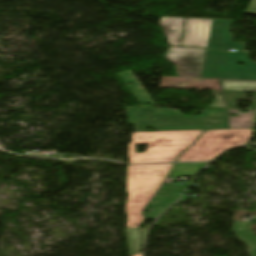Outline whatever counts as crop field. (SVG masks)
<instances>
[{
    "label": "crop field",
    "instance_id": "crop-field-6",
    "mask_svg": "<svg viewBox=\"0 0 256 256\" xmlns=\"http://www.w3.org/2000/svg\"><path fill=\"white\" fill-rule=\"evenodd\" d=\"M168 48L166 59L175 65L178 77L200 78L206 49Z\"/></svg>",
    "mask_w": 256,
    "mask_h": 256
},
{
    "label": "crop field",
    "instance_id": "crop-field-22",
    "mask_svg": "<svg viewBox=\"0 0 256 256\" xmlns=\"http://www.w3.org/2000/svg\"><path fill=\"white\" fill-rule=\"evenodd\" d=\"M138 253H139V252H138ZM134 256H142V252L139 253V254H136V255H134Z\"/></svg>",
    "mask_w": 256,
    "mask_h": 256
},
{
    "label": "crop field",
    "instance_id": "crop-field-9",
    "mask_svg": "<svg viewBox=\"0 0 256 256\" xmlns=\"http://www.w3.org/2000/svg\"><path fill=\"white\" fill-rule=\"evenodd\" d=\"M184 189V187L162 184L151 203L145 209L150 214L149 216L145 214L147 219L155 220L156 217H158L174 202V200L180 195L179 193ZM161 190L165 193H161ZM149 207L153 209L152 212L149 211Z\"/></svg>",
    "mask_w": 256,
    "mask_h": 256
},
{
    "label": "crop field",
    "instance_id": "crop-field-14",
    "mask_svg": "<svg viewBox=\"0 0 256 256\" xmlns=\"http://www.w3.org/2000/svg\"><path fill=\"white\" fill-rule=\"evenodd\" d=\"M223 90L256 91V81L220 80Z\"/></svg>",
    "mask_w": 256,
    "mask_h": 256
},
{
    "label": "crop field",
    "instance_id": "crop-field-20",
    "mask_svg": "<svg viewBox=\"0 0 256 256\" xmlns=\"http://www.w3.org/2000/svg\"><path fill=\"white\" fill-rule=\"evenodd\" d=\"M147 230H148V229L141 230L143 244H144V240H145V236H146Z\"/></svg>",
    "mask_w": 256,
    "mask_h": 256
},
{
    "label": "crop field",
    "instance_id": "crop-field-4",
    "mask_svg": "<svg viewBox=\"0 0 256 256\" xmlns=\"http://www.w3.org/2000/svg\"><path fill=\"white\" fill-rule=\"evenodd\" d=\"M252 129L206 130L177 162L210 161L224 150L246 143Z\"/></svg>",
    "mask_w": 256,
    "mask_h": 256
},
{
    "label": "crop field",
    "instance_id": "crop-field-18",
    "mask_svg": "<svg viewBox=\"0 0 256 256\" xmlns=\"http://www.w3.org/2000/svg\"><path fill=\"white\" fill-rule=\"evenodd\" d=\"M218 92H220V91H218ZM213 94L216 98V101L214 103L210 104V108H225V103H224L221 92H220L221 96H218L217 91H213Z\"/></svg>",
    "mask_w": 256,
    "mask_h": 256
},
{
    "label": "crop field",
    "instance_id": "crop-field-15",
    "mask_svg": "<svg viewBox=\"0 0 256 256\" xmlns=\"http://www.w3.org/2000/svg\"><path fill=\"white\" fill-rule=\"evenodd\" d=\"M206 163L175 164L169 176H193Z\"/></svg>",
    "mask_w": 256,
    "mask_h": 256
},
{
    "label": "crop field",
    "instance_id": "crop-field-5",
    "mask_svg": "<svg viewBox=\"0 0 256 256\" xmlns=\"http://www.w3.org/2000/svg\"><path fill=\"white\" fill-rule=\"evenodd\" d=\"M249 54L207 50L201 78L256 80V63L248 59ZM239 62L246 63V66H237Z\"/></svg>",
    "mask_w": 256,
    "mask_h": 256
},
{
    "label": "crop field",
    "instance_id": "crop-field-3",
    "mask_svg": "<svg viewBox=\"0 0 256 256\" xmlns=\"http://www.w3.org/2000/svg\"><path fill=\"white\" fill-rule=\"evenodd\" d=\"M173 164L133 165L127 172L128 220L126 228H137L144 221L142 209L160 186Z\"/></svg>",
    "mask_w": 256,
    "mask_h": 256
},
{
    "label": "crop field",
    "instance_id": "crop-field-12",
    "mask_svg": "<svg viewBox=\"0 0 256 256\" xmlns=\"http://www.w3.org/2000/svg\"><path fill=\"white\" fill-rule=\"evenodd\" d=\"M245 225V222H234L232 231L243 243L248 245L250 256H256V237L250 227H245Z\"/></svg>",
    "mask_w": 256,
    "mask_h": 256
},
{
    "label": "crop field",
    "instance_id": "crop-field-21",
    "mask_svg": "<svg viewBox=\"0 0 256 256\" xmlns=\"http://www.w3.org/2000/svg\"><path fill=\"white\" fill-rule=\"evenodd\" d=\"M250 108H256V96Z\"/></svg>",
    "mask_w": 256,
    "mask_h": 256
},
{
    "label": "crop field",
    "instance_id": "crop-field-2",
    "mask_svg": "<svg viewBox=\"0 0 256 256\" xmlns=\"http://www.w3.org/2000/svg\"><path fill=\"white\" fill-rule=\"evenodd\" d=\"M203 131L134 132L129 143L128 164L175 162ZM141 144H148L146 152L134 154V145Z\"/></svg>",
    "mask_w": 256,
    "mask_h": 256
},
{
    "label": "crop field",
    "instance_id": "crop-field-1",
    "mask_svg": "<svg viewBox=\"0 0 256 256\" xmlns=\"http://www.w3.org/2000/svg\"><path fill=\"white\" fill-rule=\"evenodd\" d=\"M129 123L136 131L148 126L158 131L226 128L225 110H208L199 116H185L172 109L126 108ZM223 113V115L221 114ZM225 117L209 120L208 118Z\"/></svg>",
    "mask_w": 256,
    "mask_h": 256
},
{
    "label": "crop field",
    "instance_id": "crop-field-17",
    "mask_svg": "<svg viewBox=\"0 0 256 256\" xmlns=\"http://www.w3.org/2000/svg\"><path fill=\"white\" fill-rule=\"evenodd\" d=\"M223 92L227 101V108H235V102L245 98L244 92H232V91H223Z\"/></svg>",
    "mask_w": 256,
    "mask_h": 256
},
{
    "label": "crop field",
    "instance_id": "crop-field-7",
    "mask_svg": "<svg viewBox=\"0 0 256 256\" xmlns=\"http://www.w3.org/2000/svg\"><path fill=\"white\" fill-rule=\"evenodd\" d=\"M212 19L186 18L180 47L206 48Z\"/></svg>",
    "mask_w": 256,
    "mask_h": 256
},
{
    "label": "crop field",
    "instance_id": "crop-field-11",
    "mask_svg": "<svg viewBox=\"0 0 256 256\" xmlns=\"http://www.w3.org/2000/svg\"><path fill=\"white\" fill-rule=\"evenodd\" d=\"M118 76L139 104H154L130 70L118 73Z\"/></svg>",
    "mask_w": 256,
    "mask_h": 256
},
{
    "label": "crop field",
    "instance_id": "crop-field-10",
    "mask_svg": "<svg viewBox=\"0 0 256 256\" xmlns=\"http://www.w3.org/2000/svg\"><path fill=\"white\" fill-rule=\"evenodd\" d=\"M185 18H165L160 20V27L164 34L168 37L170 46L179 47Z\"/></svg>",
    "mask_w": 256,
    "mask_h": 256
},
{
    "label": "crop field",
    "instance_id": "crop-field-19",
    "mask_svg": "<svg viewBox=\"0 0 256 256\" xmlns=\"http://www.w3.org/2000/svg\"><path fill=\"white\" fill-rule=\"evenodd\" d=\"M251 2V1H250ZM245 13L256 15V0H252Z\"/></svg>",
    "mask_w": 256,
    "mask_h": 256
},
{
    "label": "crop field",
    "instance_id": "crop-field-8",
    "mask_svg": "<svg viewBox=\"0 0 256 256\" xmlns=\"http://www.w3.org/2000/svg\"><path fill=\"white\" fill-rule=\"evenodd\" d=\"M232 22L233 20H213L207 48L224 51H228V49L245 50V44L232 42L234 36L229 34Z\"/></svg>",
    "mask_w": 256,
    "mask_h": 256
},
{
    "label": "crop field",
    "instance_id": "crop-field-16",
    "mask_svg": "<svg viewBox=\"0 0 256 256\" xmlns=\"http://www.w3.org/2000/svg\"><path fill=\"white\" fill-rule=\"evenodd\" d=\"M128 248H129V255L136 253L140 248V233L138 229H125Z\"/></svg>",
    "mask_w": 256,
    "mask_h": 256
},
{
    "label": "crop field",
    "instance_id": "crop-field-23",
    "mask_svg": "<svg viewBox=\"0 0 256 256\" xmlns=\"http://www.w3.org/2000/svg\"><path fill=\"white\" fill-rule=\"evenodd\" d=\"M255 122H256V117H255Z\"/></svg>",
    "mask_w": 256,
    "mask_h": 256
},
{
    "label": "crop field",
    "instance_id": "crop-field-13",
    "mask_svg": "<svg viewBox=\"0 0 256 256\" xmlns=\"http://www.w3.org/2000/svg\"><path fill=\"white\" fill-rule=\"evenodd\" d=\"M256 110H248V113H240V110L228 109V129L251 128L252 116ZM231 113H237L238 117H230Z\"/></svg>",
    "mask_w": 256,
    "mask_h": 256
}]
</instances>
